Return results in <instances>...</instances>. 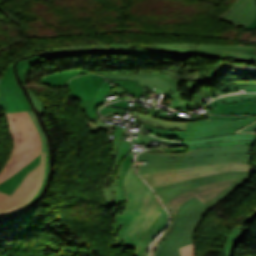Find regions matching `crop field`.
Here are the masks:
<instances>
[{
  "mask_svg": "<svg viewBox=\"0 0 256 256\" xmlns=\"http://www.w3.org/2000/svg\"><path fill=\"white\" fill-rule=\"evenodd\" d=\"M256 14V0H243L225 20L235 26L242 27L252 23Z\"/></svg>",
  "mask_w": 256,
  "mask_h": 256,
  "instance_id": "crop-field-17",
  "label": "crop field"
},
{
  "mask_svg": "<svg viewBox=\"0 0 256 256\" xmlns=\"http://www.w3.org/2000/svg\"><path fill=\"white\" fill-rule=\"evenodd\" d=\"M118 51L113 52H91V53H72V54H50V55H39L35 57L26 58L23 60H19L17 64V71L20 75L21 81L24 83V72L26 69L30 70V65H35L38 62L47 60V59H55V58H61V57H74L79 56L82 54H101V55H117ZM25 85V83H24ZM26 86V85H25ZM27 87V86H26ZM28 89V88H27ZM30 96L35 104V107L41 111H44V109L47 107L45 103H43L32 91L28 89Z\"/></svg>",
  "mask_w": 256,
  "mask_h": 256,
  "instance_id": "crop-field-15",
  "label": "crop field"
},
{
  "mask_svg": "<svg viewBox=\"0 0 256 256\" xmlns=\"http://www.w3.org/2000/svg\"><path fill=\"white\" fill-rule=\"evenodd\" d=\"M160 238V237H159ZM159 238L155 241V243L153 244L152 248H151V252H150V256H152V250L154 249L155 245L157 244Z\"/></svg>",
  "mask_w": 256,
  "mask_h": 256,
  "instance_id": "crop-field-47",
  "label": "crop field"
},
{
  "mask_svg": "<svg viewBox=\"0 0 256 256\" xmlns=\"http://www.w3.org/2000/svg\"><path fill=\"white\" fill-rule=\"evenodd\" d=\"M170 93L172 94V95H170V97H173L174 99L172 100L169 107L175 108V109H181L183 111H189V110L196 109V108L202 106L203 104H205L204 102H202L200 100L201 98L205 97L206 95H208L210 93L217 94L213 90H201L199 93L195 94L194 98H193V100L198 102V105L195 106V107H191V103L186 102V101H182V98H181V96L178 92V89H175Z\"/></svg>",
  "mask_w": 256,
  "mask_h": 256,
  "instance_id": "crop-field-22",
  "label": "crop field"
},
{
  "mask_svg": "<svg viewBox=\"0 0 256 256\" xmlns=\"http://www.w3.org/2000/svg\"><path fill=\"white\" fill-rule=\"evenodd\" d=\"M15 143L12 154L0 172V183L16 174L41 151L40 136L27 112L6 114Z\"/></svg>",
  "mask_w": 256,
  "mask_h": 256,
  "instance_id": "crop-field-3",
  "label": "crop field"
},
{
  "mask_svg": "<svg viewBox=\"0 0 256 256\" xmlns=\"http://www.w3.org/2000/svg\"><path fill=\"white\" fill-rule=\"evenodd\" d=\"M199 116L200 117H197V118L183 119V118L168 117V116H165V115L159 113L158 118L167 119V120L186 121L187 122V127H188V121L201 120V119H205V118L235 120V119L244 118V117H251V116H214V115H199ZM139 125H141L142 127H144L145 129H147L150 132L154 129L166 130V129H160V128H156V127H152V126H148V125H143V124H139ZM167 131L187 132V130H167Z\"/></svg>",
  "mask_w": 256,
  "mask_h": 256,
  "instance_id": "crop-field-26",
  "label": "crop field"
},
{
  "mask_svg": "<svg viewBox=\"0 0 256 256\" xmlns=\"http://www.w3.org/2000/svg\"><path fill=\"white\" fill-rule=\"evenodd\" d=\"M230 170L253 171V169L249 165L241 162H236V163H225V164H218V165H208V166H202V167L178 169V170L158 172V173H148V174H144V176L150 182L151 186L154 187V186H158L166 183L193 179L197 177H202V176L220 173L224 171H230Z\"/></svg>",
  "mask_w": 256,
  "mask_h": 256,
  "instance_id": "crop-field-7",
  "label": "crop field"
},
{
  "mask_svg": "<svg viewBox=\"0 0 256 256\" xmlns=\"http://www.w3.org/2000/svg\"><path fill=\"white\" fill-rule=\"evenodd\" d=\"M188 153H157L141 152L136 160L142 162H176L188 160V158H197L203 156H216L232 153H249L252 155L249 145H231L224 147H213L204 149L187 150Z\"/></svg>",
  "mask_w": 256,
  "mask_h": 256,
  "instance_id": "crop-field-8",
  "label": "crop field"
},
{
  "mask_svg": "<svg viewBox=\"0 0 256 256\" xmlns=\"http://www.w3.org/2000/svg\"><path fill=\"white\" fill-rule=\"evenodd\" d=\"M122 133H123V131L120 126L118 128H116L114 131V146H113L112 156L116 157V160H115L113 172L111 174L112 181H113V177H114L116 168H117L120 160L123 158V156L126 153H128L131 150L130 142H122ZM112 181L110 184H108V185L104 184L102 186V191L104 193V199H105L104 206L107 209L111 208V206L114 203V195H113V191L111 189Z\"/></svg>",
  "mask_w": 256,
  "mask_h": 256,
  "instance_id": "crop-field-16",
  "label": "crop field"
},
{
  "mask_svg": "<svg viewBox=\"0 0 256 256\" xmlns=\"http://www.w3.org/2000/svg\"><path fill=\"white\" fill-rule=\"evenodd\" d=\"M45 155V151L41 153L40 164L22 180L11 196L0 192V217L18 210L36 196L45 173Z\"/></svg>",
  "mask_w": 256,
  "mask_h": 256,
  "instance_id": "crop-field-6",
  "label": "crop field"
},
{
  "mask_svg": "<svg viewBox=\"0 0 256 256\" xmlns=\"http://www.w3.org/2000/svg\"><path fill=\"white\" fill-rule=\"evenodd\" d=\"M147 140L166 142V143H170V144H179L178 142H167V141H164V140H157L153 137H149V136H145V135H144L143 139H134V142L147 143Z\"/></svg>",
  "mask_w": 256,
  "mask_h": 256,
  "instance_id": "crop-field-39",
  "label": "crop field"
},
{
  "mask_svg": "<svg viewBox=\"0 0 256 256\" xmlns=\"http://www.w3.org/2000/svg\"><path fill=\"white\" fill-rule=\"evenodd\" d=\"M195 105H197V103H196L195 101H193V104H192V106H195Z\"/></svg>",
  "mask_w": 256,
  "mask_h": 256,
  "instance_id": "crop-field-49",
  "label": "crop field"
},
{
  "mask_svg": "<svg viewBox=\"0 0 256 256\" xmlns=\"http://www.w3.org/2000/svg\"><path fill=\"white\" fill-rule=\"evenodd\" d=\"M105 78L99 75H83L72 79L67 87L72 98H79L83 111H87L89 103L96 95L101 82Z\"/></svg>",
  "mask_w": 256,
  "mask_h": 256,
  "instance_id": "crop-field-12",
  "label": "crop field"
},
{
  "mask_svg": "<svg viewBox=\"0 0 256 256\" xmlns=\"http://www.w3.org/2000/svg\"><path fill=\"white\" fill-rule=\"evenodd\" d=\"M135 214L132 215H124V216H115V229L114 234H116L117 230L120 229L117 235V246H122L123 238L125 233L133 219Z\"/></svg>",
  "mask_w": 256,
  "mask_h": 256,
  "instance_id": "crop-field-29",
  "label": "crop field"
},
{
  "mask_svg": "<svg viewBox=\"0 0 256 256\" xmlns=\"http://www.w3.org/2000/svg\"><path fill=\"white\" fill-rule=\"evenodd\" d=\"M131 113H133L132 116H134V118L141 119L140 123L153 125L161 128H167V129H186L185 122L161 120V119L147 116L135 111H132Z\"/></svg>",
  "mask_w": 256,
  "mask_h": 256,
  "instance_id": "crop-field-24",
  "label": "crop field"
},
{
  "mask_svg": "<svg viewBox=\"0 0 256 256\" xmlns=\"http://www.w3.org/2000/svg\"><path fill=\"white\" fill-rule=\"evenodd\" d=\"M199 83L198 82H192V83H187L188 86V90L191 92L192 90L195 89L196 86H198Z\"/></svg>",
  "mask_w": 256,
  "mask_h": 256,
  "instance_id": "crop-field-45",
  "label": "crop field"
},
{
  "mask_svg": "<svg viewBox=\"0 0 256 256\" xmlns=\"http://www.w3.org/2000/svg\"><path fill=\"white\" fill-rule=\"evenodd\" d=\"M181 252V256H194V245L193 243L184 246L179 249Z\"/></svg>",
  "mask_w": 256,
  "mask_h": 256,
  "instance_id": "crop-field-37",
  "label": "crop field"
},
{
  "mask_svg": "<svg viewBox=\"0 0 256 256\" xmlns=\"http://www.w3.org/2000/svg\"><path fill=\"white\" fill-rule=\"evenodd\" d=\"M253 143L254 142H249V141H232V142L192 145V146H185V147H187V149H193V148H203V147H212V146H223V145H230V144H249V145H253Z\"/></svg>",
  "mask_w": 256,
  "mask_h": 256,
  "instance_id": "crop-field-34",
  "label": "crop field"
},
{
  "mask_svg": "<svg viewBox=\"0 0 256 256\" xmlns=\"http://www.w3.org/2000/svg\"><path fill=\"white\" fill-rule=\"evenodd\" d=\"M40 161V155H38L34 160H32L26 167H24L20 172L0 184V191L11 195L16 189L21 180L38 165ZM20 185V184H19Z\"/></svg>",
  "mask_w": 256,
  "mask_h": 256,
  "instance_id": "crop-field-21",
  "label": "crop field"
},
{
  "mask_svg": "<svg viewBox=\"0 0 256 256\" xmlns=\"http://www.w3.org/2000/svg\"><path fill=\"white\" fill-rule=\"evenodd\" d=\"M29 116L31 117L36 129L38 130L40 136H41V141H42V151H44L46 149V136L45 134L41 131L37 121H36V116L34 114V112H28ZM41 151V152H42Z\"/></svg>",
  "mask_w": 256,
  "mask_h": 256,
  "instance_id": "crop-field-36",
  "label": "crop field"
},
{
  "mask_svg": "<svg viewBox=\"0 0 256 256\" xmlns=\"http://www.w3.org/2000/svg\"><path fill=\"white\" fill-rule=\"evenodd\" d=\"M246 96V98H245ZM217 107L209 114L256 115V94H238L218 98L206 107Z\"/></svg>",
  "mask_w": 256,
  "mask_h": 256,
  "instance_id": "crop-field-9",
  "label": "crop field"
},
{
  "mask_svg": "<svg viewBox=\"0 0 256 256\" xmlns=\"http://www.w3.org/2000/svg\"><path fill=\"white\" fill-rule=\"evenodd\" d=\"M189 52L196 53V54L219 55V56H236V57L240 56L238 54H232V53H227V52L213 50V49L191 48Z\"/></svg>",
  "mask_w": 256,
  "mask_h": 256,
  "instance_id": "crop-field-32",
  "label": "crop field"
},
{
  "mask_svg": "<svg viewBox=\"0 0 256 256\" xmlns=\"http://www.w3.org/2000/svg\"><path fill=\"white\" fill-rule=\"evenodd\" d=\"M252 71H254V72H255V70H252Z\"/></svg>",
  "mask_w": 256,
  "mask_h": 256,
  "instance_id": "crop-field-50",
  "label": "crop field"
},
{
  "mask_svg": "<svg viewBox=\"0 0 256 256\" xmlns=\"http://www.w3.org/2000/svg\"><path fill=\"white\" fill-rule=\"evenodd\" d=\"M229 72L231 73V75H235V76H254V77H256V74L251 73L247 70L234 69V70H229Z\"/></svg>",
  "mask_w": 256,
  "mask_h": 256,
  "instance_id": "crop-field-38",
  "label": "crop field"
},
{
  "mask_svg": "<svg viewBox=\"0 0 256 256\" xmlns=\"http://www.w3.org/2000/svg\"><path fill=\"white\" fill-rule=\"evenodd\" d=\"M123 188L126 190L127 202L121 215L136 213L124 240L145 230V228L164 209L149 187L135 173L133 166L128 170Z\"/></svg>",
  "mask_w": 256,
  "mask_h": 256,
  "instance_id": "crop-field-2",
  "label": "crop field"
},
{
  "mask_svg": "<svg viewBox=\"0 0 256 256\" xmlns=\"http://www.w3.org/2000/svg\"><path fill=\"white\" fill-rule=\"evenodd\" d=\"M250 175H251V172H244V171L224 172V173L197 178L193 180L171 183V184L155 187L154 189L159 194V196L161 197L162 201L165 204L171 201L172 199H174L179 194L189 191L191 189L200 187L205 184L228 180V179H234L238 177V179L234 183H232L230 186H228L226 189H224L222 192H220L218 195H216L212 200H210L206 204L207 206L212 208L215 204H217L220 200L226 197L229 193L233 192L242 184H244L249 179Z\"/></svg>",
  "mask_w": 256,
  "mask_h": 256,
  "instance_id": "crop-field-5",
  "label": "crop field"
},
{
  "mask_svg": "<svg viewBox=\"0 0 256 256\" xmlns=\"http://www.w3.org/2000/svg\"><path fill=\"white\" fill-rule=\"evenodd\" d=\"M120 110H124V109H120V108H114V107H103L100 110L101 115L106 114V113H110L112 111H120Z\"/></svg>",
  "mask_w": 256,
  "mask_h": 256,
  "instance_id": "crop-field-42",
  "label": "crop field"
},
{
  "mask_svg": "<svg viewBox=\"0 0 256 256\" xmlns=\"http://www.w3.org/2000/svg\"><path fill=\"white\" fill-rule=\"evenodd\" d=\"M237 89H245L246 92H256V83H233L225 85L224 92L233 91Z\"/></svg>",
  "mask_w": 256,
  "mask_h": 256,
  "instance_id": "crop-field-30",
  "label": "crop field"
},
{
  "mask_svg": "<svg viewBox=\"0 0 256 256\" xmlns=\"http://www.w3.org/2000/svg\"><path fill=\"white\" fill-rule=\"evenodd\" d=\"M118 55H175V54L160 53V52L145 50L140 47H136L127 51H119Z\"/></svg>",
  "mask_w": 256,
  "mask_h": 256,
  "instance_id": "crop-field-31",
  "label": "crop field"
},
{
  "mask_svg": "<svg viewBox=\"0 0 256 256\" xmlns=\"http://www.w3.org/2000/svg\"><path fill=\"white\" fill-rule=\"evenodd\" d=\"M237 132H256V122L248 126L247 128Z\"/></svg>",
  "mask_w": 256,
  "mask_h": 256,
  "instance_id": "crop-field-44",
  "label": "crop field"
},
{
  "mask_svg": "<svg viewBox=\"0 0 256 256\" xmlns=\"http://www.w3.org/2000/svg\"><path fill=\"white\" fill-rule=\"evenodd\" d=\"M140 57H156V58H179L182 61V73H180L179 75L177 74L178 71H176L175 73L171 70L169 71H165V72H161V73H140V74H148V75H158L160 77H162L163 79L167 80L168 82L172 83L175 86H179L181 84L182 81H186L187 77H188V73L191 71H195V70H200V69H204V67L199 68V69H191L190 66L188 68H186V70H183V62L185 60V56H140Z\"/></svg>",
  "mask_w": 256,
  "mask_h": 256,
  "instance_id": "crop-field-20",
  "label": "crop field"
},
{
  "mask_svg": "<svg viewBox=\"0 0 256 256\" xmlns=\"http://www.w3.org/2000/svg\"><path fill=\"white\" fill-rule=\"evenodd\" d=\"M86 71H80V70H73L68 72H62L54 75H49L47 77H44L41 79L42 83L49 84L51 87L55 86H64L66 85L67 81L77 75L85 74Z\"/></svg>",
  "mask_w": 256,
  "mask_h": 256,
  "instance_id": "crop-field-25",
  "label": "crop field"
},
{
  "mask_svg": "<svg viewBox=\"0 0 256 256\" xmlns=\"http://www.w3.org/2000/svg\"><path fill=\"white\" fill-rule=\"evenodd\" d=\"M238 230H240L239 225L229 234L225 247V256H233V251L236 246L244 240L246 231L240 230V232H238Z\"/></svg>",
  "mask_w": 256,
  "mask_h": 256,
  "instance_id": "crop-field-28",
  "label": "crop field"
},
{
  "mask_svg": "<svg viewBox=\"0 0 256 256\" xmlns=\"http://www.w3.org/2000/svg\"><path fill=\"white\" fill-rule=\"evenodd\" d=\"M108 79H133L139 80V85L145 87H153L154 85L166 90L171 91L177 87L173 86L172 84L168 83L167 81L163 80L158 76H148V75H103Z\"/></svg>",
  "mask_w": 256,
  "mask_h": 256,
  "instance_id": "crop-field-19",
  "label": "crop field"
},
{
  "mask_svg": "<svg viewBox=\"0 0 256 256\" xmlns=\"http://www.w3.org/2000/svg\"><path fill=\"white\" fill-rule=\"evenodd\" d=\"M167 223L168 215L164 209L143 233L124 241L123 247L136 248L135 256H143L148 244L165 228Z\"/></svg>",
  "mask_w": 256,
  "mask_h": 256,
  "instance_id": "crop-field-14",
  "label": "crop field"
},
{
  "mask_svg": "<svg viewBox=\"0 0 256 256\" xmlns=\"http://www.w3.org/2000/svg\"><path fill=\"white\" fill-rule=\"evenodd\" d=\"M46 151H47V155H46V173H45L43 185H42L41 189L39 190L37 196L40 194V192L42 191V189H43V187H44V185H45V183H46V177H47V173H48V149H46ZM37 196H36V197H37ZM36 197H35L33 200H31L26 206L22 207L20 210L14 212V213H11V214H9V215H7V216L1 217L0 220H1V219H4V218H7V217H9V216H11V215H13V214H15V213H18V212L24 210L25 208H27L29 205L32 204V202L36 199Z\"/></svg>",
  "mask_w": 256,
  "mask_h": 256,
  "instance_id": "crop-field-35",
  "label": "crop field"
},
{
  "mask_svg": "<svg viewBox=\"0 0 256 256\" xmlns=\"http://www.w3.org/2000/svg\"><path fill=\"white\" fill-rule=\"evenodd\" d=\"M255 217H256V210L244 218V220L241 222V227L244 228V225L247 223H250Z\"/></svg>",
  "mask_w": 256,
  "mask_h": 256,
  "instance_id": "crop-field-41",
  "label": "crop field"
},
{
  "mask_svg": "<svg viewBox=\"0 0 256 256\" xmlns=\"http://www.w3.org/2000/svg\"><path fill=\"white\" fill-rule=\"evenodd\" d=\"M235 180L236 179L202 186L200 188H197V189L191 190L189 192H186V193L178 196L177 198H175L174 200H172L168 204H166L169 211L171 212L172 220H171V224L169 226V229L164 233L162 240L165 238L166 234L169 232V230L171 229V227L174 223L178 207L185 200H187L190 197L196 196L197 198H199L202 202H204L206 204L216 194H218L220 191H222L224 188H226L228 185H230Z\"/></svg>",
  "mask_w": 256,
  "mask_h": 256,
  "instance_id": "crop-field-13",
  "label": "crop field"
},
{
  "mask_svg": "<svg viewBox=\"0 0 256 256\" xmlns=\"http://www.w3.org/2000/svg\"><path fill=\"white\" fill-rule=\"evenodd\" d=\"M0 108L4 112L27 110L14 86L0 88Z\"/></svg>",
  "mask_w": 256,
  "mask_h": 256,
  "instance_id": "crop-field-18",
  "label": "crop field"
},
{
  "mask_svg": "<svg viewBox=\"0 0 256 256\" xmlns=\"http://www.w3.org/2000/svg\"><path fill=\"white\" fill-rule=\"evenodd\" d=\"M226 60L239 61V60H231V59H226ZM247 63H249V62H247ZM250 64H256V62H251ZM232 68H248V66L245 64H228L226 61L220 62L218 67H216V69L213 72L202 74V75H194L190 79V82L198 80L199 83L201 84L203 82L214 80V79H216L217 76L221 75L225 71L232 69Z\"/></svg>",
  "mask_w": 256,
  "mask_h": 256,
  "instance_id": "crop-field-23",
  "label": "crop field"
},
{
  "mask_svg": "<svg viewBox=\"0 0 256 256\" xmlns=\"http://www.w3.org/2000/svg\"><path fill=\"white\" fill-rule=\"evenodd\" d=\"M241 1L242 0H238L227 12H225L222 15L218 16V18L221 19V20H225L230 15V13L238 6V4Z\"/></svg>",
  "mask_w": 256,
  "mask_h": 256,
  "instance_id": "crop-field-40",
  "label": "crop field"
},
{
  "mask_svg": "<svg viewBox=\"0 0 256 256\" xmlns=\"http://www.w3.org/2000/svg\"><path fill=\"white\" fill-rule=\"evenodd\" d=\"M236 161H241L249 164L250 155L248 154L222 155L217 157L189 159V161L177 162V163H147V165H139L141 169L139 173L145 179L142 173L166 171V170H172V169H178V168L201 166V165H208V164H218V163H225V162H236Z\"/></svg>",
  "mask_w": 256,
  "mask_h": 256,
  "instance_id": "crop-field-10",
  "label": "crop field"
},
{
  "mask_svg": "<svg viewBox=\"0 0 256 256\" xmlns=\"http://www.w3.org/2000/svg\"><path fill=\"white\" fill-rule=\"evenodd\" d=\"M152 47H160L165 49L181 50L188 52L190 47H201V48H214L227 52L241 54L240 57L247 59H256V51H253V47L244 46H226V45H194V44H150ZM90 47H106V48H129L130 45H92L85 47H67V48H55L52 50H63V49H82Z\"/></svg>",
  "mask_w": 256,
  "mask_h": 256,
  "instance_id": "crop-field-11",
  "label": "crop field"
},
{
  "mask_svg": "<svg viewBox=\"0 0 256 256\" xmlns=\"http://www.w3.org/2000/svg\"><path fill=\"white\" fill-rule=\"evenodd\" d=\"M16 88H17V90H18V92H19V94H20V96H21L22 100H23V101H24V103L26 104V106H27L28 110H31L30 105H29V103H28V101H27L26 97L24 96V94H23V92H22L21 88H20L18 85L16 86Z\"/></svg>",
  "mask_w": 256,
  "mask_h": 256,
  "instance_id": "crop-field-43",
  "label": "crop field"
},
{
  "mask_svg": "<svg viewBox=\"0 0 256 256\" xmlns=\"http://www.w3.org/2000/svg\"><path fill=\"white\" fill-rule=\"evenodd\" d=\"M210 208L196 197L185 201L178 209L173 228L159 244L154 256H180L178 248L193 242L194 232Z\"/></svg>",
  "mask_w": 256,
  "mask_h": 256,
  "instance_id": "crop-field-4",
  "label": "crop field"
},
{
  "mask_svg": "<svg viewBox=\"0 0 256 256\" xmlns=\"http://www.w3.org/2000/svg\"><path fill=\"white\" fill-rule=\"evenodd\" d=\"M242 28L256 30V19H255V22L253 24H251L247 27H242Z\"/></svg>",
  "mask_w": 256,
  "mask_h": 256,
  "instance_id": "crop-field-46",
  "label": "crop field"
},
{
  "mask_svg": "<svg viewBox=\"0 0 256 256\" xmlns=\"http://www.w3.org/2000/svg\"><path fill=\"white\" fill-rule=\"evenodd\" d=\"M16 79L13 74V65L10 64L8 66V70L4 74L3 78L0 81V86H8V85H16Z\"/></svg>",
  "mask_w": 256,
  "mask_h": 256,
  "instance_id": "crop-field-33",
  "label": "crop field"
},
{
  "mask_svg": "<svg viewBox=\"0 0 256 256\" xmlns=\"http://www.w3.org/2000/svg\"><path fill=\"white\" fill-rule=\"evenodd\" d=\"M256 121V117L244 118L235 121L205 119L189 122L188 133H172L154 130L152 134L162 137L184 141L185 145L222 142L231 140L255 141L254 133H235L250 123Z\"/></svg>",
  "mask_w": 256,
  "mask_h": 256,
  "instance_id": "crop-field-1",
  "label": "crop field"
},
{
  "mask_svg": "<svg viewBox=\"0 0 256 256\" xmlns=\"http://www.w3.org/2000/svg\"><path fill=\"white\" fill-rule=\"evenodd\" d=\"M149 246H150V244H149ZM149 246H148V248H147V250H146V252H145L144 256H146V255H147V251H148V249H149Z\"/></svg>",
  "mask_w": 256,
  "mask_h": 256,
  "instance_id": "crop-field-48",
  "label": "crop field"
},
{
  "mask_svg": "<svg viewBox=\"0 0 256 256\" xmlns=\"http://www.w3.org/2000/svg\"><path fill=\"white\" fill-rule=\"evenodd\" d=\"M108 84L109 83L103 81V83L101 84V86L99 88L98 94L95 96V98L89 105L87 115L91 120L98 119V116H97L95 110L97 109V107L99 105H101L104 101H106V99L104 97L108 93V91L111 90V88H112V86H110ZM104 88H106V90H104Z\"/></svg>",
  "mask_w": 256,
  "mask_h": 256,
  "instance_id": "crop-field-27",
  "label": "crop field"
}]
</instances>
